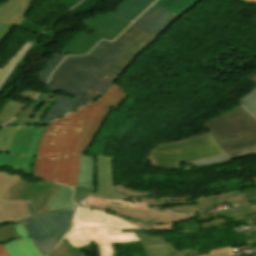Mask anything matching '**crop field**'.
I'll use <instances>...</instances> for the list:
<instances>
[{
	"mask_svg": "<svg viewBox=\"0 0 256 256\" xmlns=\"http://www.w3.org/2000/svg\"><path fill=\"white\" fill-rule=\"evenodd\" d=\"M127 94L112 85L96 103L48 124L35 159L33 177L76 188L80 152H86L111 111Z\"/></svg>",
	"mask_w": 256,
	"mask_h": 256,
	"instance_id": "crop-field-1",
	"label": "crop field"
},
{
	"mask_svg": "<svg viewBox=\"0 0 256 256\" xmlns=\"http://www.w3.org/2000/svg\"><path fill=\"white\" fill-rule=\"evenodd\" d=\"M123 48L122 45L103 40L85 56L66 57L46 86L65 96L58 97L41 124L49 123L99 98L118 78L103 69Z\"/></svg>",
	"mask_w": 256,
	"mask_h": 256,
	"instance_id": "crop-field-2",
	"label": "crop field"
},
{
	"mask_svg": "<svg viewBox=\"0 0 256 256\" xmlns=\"http://www.w3.org/2000/svg\"><path fill=\"white\" fill-rule=\"evenodd\" d=\"M210 132L178 141H186L200 136L213 134L230 158L256 155V119L243 108L205 121Z\"/></svg>",
	"mask_w": 256,
	"mask_h": 256,
	"instance_id": "crop-field-3",
	"label": "crop field"
},
{
	"mask_svg": "<svg viewBox=\"0 0 256 256\" xmlns=\"http://www.w3.org/2000/svg\"><path fill=\"white\" fill-rule=\"evenodd\" d=\"M32 217L21 220L34 246L46 256L66 233L72 217L71 209L49 211L36 215L33 202L27 200Z\"/></svg>",
	"mask_w": 256,
	"mask_h": 256,
	"instance_id": "crop-field-4",
	"label": "crop field"
},
{
	"mask_svg": "<svg viewBox=\"0 0 256 256\" xmlns=\"http://www.w3.org/2000/svg\"><path fill=\"white\" fill-rule=\"evenodd\" d=\"M211 135L172 145L156 146L148 160L153 166L178 169L180 162L192 161L222 153Z\"/></svg>",
	"mask_w": 256,
	"mask_h": 256,
	"instance_id": "crop-field-5",
	"label": "crop field"
},
{
	"mask_svg": "<svg viewBox=\"0 0 256 256\" xmlns=\"http://www.w3.org/2000/svg\"><path fill=\"white\" fill-rule=\"evenodd\" d=\"M83 23L93 30V35L80 33L62 53L68 55H85L101 39L113 40L119 35L130 22L113 15L105 13L89 18H85Z\"/></svg>",
	"mask_w": 256,
	"mask_h": 256,
	"instance_id": "crop-field-6",
	"label": "crop field"
},
{
	"mask_svg": "<svg viewBox=\"0 0 256 256\" xmlns=\"http://www.w3.org/2000/svg\"><path fill=\"white\" fill-rule=\"evenodd\" d=\"M45 128L46 125L19 127L12 138L8 154L0 153V167L13 168L32 176L34 159Z\"/></svg>",
	"mask_w": 256,
	"mask_h": 256,
	"instance_id": "crop-field-7",
	"label": "crop field"
},
{
	"mask_svg": "<svg viewBox=\"0 0 256 256\" xmlns=\"http://www.w3.org/2000/svg\"><path fill=\"white\" fill-rule=\"evenodd\" d=\"M135 231L143 230H111L110 227L88 228L67 233L64 238H66L74 247L89 245V241L91 240L96 244H130L164 238L146 235Z\"/></svg>",
	"mask_w": 256,
	"mask_h": 256,
	"instance_id": "crop-field-8",
	"label": "crop field"
},
{
	"mask_svg": "<svg viewBox=\"0 0 256 256\" xmlns=\"http://www.w3.org/2000/svg\"><path fill=\"white\" fill-rule=\"evenodd\" d=\"M157 36L131 25L114 42L126 46L119 55L105 68L110 72L122 75L139 53Z\"/></svg>",
	"mask_w": 256,
	"mask_h": 256,
	"instance_id": "crop-field-9",
	"label": "crop field"
},
{
	"mask_svg": "<svg viewBox=\"0 0 256 256\" xmlns=\"http://www.w3.org/2000/svg\"><path fill=\"white\" fill-rule=\"evenodd\" d=\"M112 229H142L123 218L107 211L77 206L74 212L72 227L69 232L87 227L109 226Z\"/></svg>",
	"mask_w": 256,
	"mask_h": 256,
	"instance_id": "crop-field-10",
	"label": "crop field"
},
{
	"mask_svg": "<svg viewBox=\"0 0 256 256\" xmlns=\"http://www.w3.org/2000/svg\"><path fill=\"white\" fill-rule=\"evenodd\" d=\"M61 187V185L44 181L39 184H30L21 180L12 186L6 193L4 199H31L35 200V212L37 214L46 212L49 197Z\"/></svg>",
	"mask_w": 256,
	"mask_h": 256,
	"instance_id": "crop-field-11",
	"label": "crop field"
},
{
	"mask_svg": "<svg viewBox=\"0 0 256 256\" xmlns=\"http://www.w3.org/2000/svg\"><path fill=\"white\" fill-rule=\"evenodd\" d=\"M92 196L109 199H127L116 188L112 157L97 155V193Z\"/></svg>",
	"mask_w": 256,
	"mask_h": 256,
	"instance_id": "crop-field-12",
	"label": "crop field"
},
{
	"mask_svg": "<svg viewBox=\"0 0 256 256\" xmlns=\"http://www.w3.org/2000/svg\"><path fill=\"white\" fill-rule=\"evenodd\" d=\"M43 91L36 97L35 102H32L28 108L7 125H40L43 116L59 96Z\"/></svg>",
	"mask_w": 256,
	"mask_h": 256,
	"instance_id": "crop-field-13",
	"label": "crop field"
},
{
	"mask_svg": "<svg viewBox=\"0 0 256 256\" xmlns=\"http://www.w3.org/2000/svg\"><path fill=\"white\" fill-rule=\"evenodd\" d=\"M178 18L179 17L152 5L133 23L158 36Z\"/></svg>",
	"mask_w": 256,
	"mask_h": 256,
	"instance_id": "crop-field-14",
	"label": "crop field"
},
{
	"mask_svg": "<svg viewBox=\"0 0 256 256\" xmlns=\"http://www.w3.org/2000/svg\"><path fill=\"white\" fill-rule=\"evenodd\" d=\"M4 195L0 193V224L18 222L31 216L26 200H3Z\"/></svg>",
	"mask_w": 256,
	"mask_h": 256,
	"instance_id": "crop-field-15",
	"label": "crop field"
},
{
	"mask_svg": "<svg viewBox=\"0 0 256 256\" xmlns=\"http://www.w3.org/2000/svg\"><path fill=\"white\" fill-rule=\"evenodd\" d=\"M141 245L146 256H197L209 253L207 251L200 254L197 248L176 251L172 243L165 244L164 240L144 242Z\"/></svg>",
	"mask_w": 256,
	"mask_h": 256,
	"instance_id": "crop-field-16",
	"label": "crop field"
},
{
	"mask_svg": "<svg viewBox=\"0 0 256 256\" xmlns=\"http://www.w3.org/2000/svg\"><path fill=\"white\" fill-rule=\"evenodd\" d=\"M17 86L12 85V87L5 93L4 96L0 97V100L3 98H7L10 94L15 90ZM37 92L34 91H23L19 95L20 98L27 99L32 101V99L37 95ZM28 103H23L15 100H9L4 104V106L0 109V126L5 124L7 121L11 120L15 117L22 109L28 106Z\"/></svg>",
	"mask_w": 256,
	"mask_h": 256,
	"instance_id": "crop-field-17",
	"label": "crop field"
},
{
	"mask_svg": "<svg viewBox=\"0 0 256 256\" xmlns=\"http://www.w3.org/2000/svg\"><path fill=\"white\" fill-rule=\"evenodd\" d=\"M31 1L32 0L3 1L0 4V21L13 26L19 24Z\"/></svg>",
	"mask_w": 256,
	"mask_h": 256,
	"instance_id": "crop-field-18",
	"label": "crop field"
},
{
	"mask_svg": "<svg viewBox=\"0 0 256 256\" xmlns=\"http://www.w3.org/2000/svg\"><path fill=\"white\" fill-rule=\"evenodd\" d=\"M14 229L18 235L22 238L20 240H14L7 243L4 246L9 256H41L31 243V239L27 235L21 224L14 225Z\"/></svg>",
	"mask_w": 256,
	"mask_h": 256,
	"instance_id": "crop-field-19",
	"label": "crop field"
},
{
	"mask_svg": "<svg viewBox=\"0 0 256 256\" xmlns=\"http://www.w3.org/2000/svg\"><path fill=\"white\" fill-rule=\"evenodd\" d=\"M154 1L156 0H124L113 14L132 22Z\"/></svg>",
	"mask_w": 256,
	"mask_h": 256,
	"instance_id": "crop-field-20",
	"label": "crop field"
},
{
	"mask_svg": "<svg viewBox=\"0 0 256 256\" xmlns=\"http://www.w3.org/2000/svg\"><path fill=\"white\" fill-rule=\"evenodd\" d=\"M77 188L94 190V156L81 153Z\"/></svg>",
	"mask_w": 256,
	"mask_h": 256,
	"instance_id": "crop-field-21",
	"label": "crop field"
},
{
	"mask_svg": "<svg viewBox=\"0 0 256 256\" xmlns=\"http://www.w3.org/2000/svg\"><path fill=\"white\" fill-rule=\"evenodd\" d=\"M103 209L112 211L118 215L129 217V218L151 219L148 216V211H144V210H131V209L119 208L115 206H109L106 204L104 205ZM192 217H194L193 214L184 215V216L175 217V218L152 219V220H158V221H161V223H171V222H180L183 220L190 219Z\"/></svg>",
	"mask_w": 256,
	"mask_h": 256,
	"instance_id": "crop-field-22",
	"label": "crop field"
},
{
	"mask_svg": "<svg viewBox=\"0 0 256 256\" xmlns=\"http://www.w3.org/2000/svg\"><path fill=\"white\" fill-rule=\"evenodd\" d=\"M224 203H232V205L237 204L238 207L234 206L232 208H245V207L251 206L246 195L243 194V195L230 197V198L209 200V201L197 203V205H196L197 209H195L194 211L215 209V208H217V206H220L221 204H224Z\"/></svg>",
	"mask_w": 256,
	"mask_h": 256,
	"instance_id": "crop-field-23",
	"label": "crop field"
},
{
	"mask_svg": "<svg viewBox=\"0 0 256 256\" xmlns=\"http://www.w3.org/2000/svg\"><path fill=\"white\" fill-rule=\"evenodd\" d=\"M199 0H158L154 5L168 10L169 12L181 16L191 10Z\"/></svg>",
	"mask_w": 256,
	"mask_h": 256,
	"instance_id": "crop-field-24",
	"label": "crop field"
},
{
	"mask_svg": "<svg viewBox=\"0 0 256 256\" xmlns=\"http://www.w3.org/2000/svg\"><path fill=\"white\" fill-rule=\"evenodd\" d=\"M254 211L256 213V209H254ZM195 218L197 219L198 223H200L201 229L204 230V229H209L227 222L253 219V218H256V214L246 215V216H242V217H238L230 220H228L221 213L204 215V216L195 217Z\"/></svg>",
	"mask_w": 256,
	"mask_h": 256,
	"instance_id": "crop-field-25",
	"label": "crop field"
},
{
	"mask_svg": "<svg viewBox=\"0 0 256 256\" xmlns=\"http://www.w3.org/2000/svg\"><path fill=\"white\" fill-rule=\"evenodd\" d=\"M72 193L73 190L71 188L62 186L51 196L48 202V211L75 207V205L71 202Z\"/></svg>",
	"mask_w": 256,
	"mask_h": 256,
	"instance_id": "crop-field-26",
	"label": "crop field"
},
{
	"mask_svg": "<svg viewBox=\"0 0 256 256\" xmlns=\"http://www.w3.org/2000/svg\"><path fill=\"white\" fill-rule=\"evenodd\" d=\"M65 56H67V55H64L62 53L53 54V56H52L50 62L48 63L47 67L41 72L37 82L45 85L49 76L53 72V70L56 68V66L61 62V60Z\"/></svg>",
	"mask_w": 256,
	"mask_h": 256,
	"instance_id": "crop-field-27",
	"label": "crop field"
},
{
	"mask_svg": "<svg viewBox=\"0 0 256 256\" xmlns=\"http://www.w3.org/2000/svg\"><path fill=\"white\" fill-rule=\"evenodd\" d=\"M16 129L17 126H5L0 129V152L7 154L11 138Z\"/></svg>",
	"mask_w": 256,
	"mask_h": 256,
	"instance_id": "crop-field-28",
	"label": "crop field"
},
{
	"mask_svg": "<svg viewBox=\"0 0 256 256\" xmlns=\"http://www.w3.org/2000/svg\"><path fill=\"white\" fill-rule=\"evenodd\" d=\"M226 162H231V160L225 153H223V154L215 155L212 157H208V158H204V159H200V160H196L188 163L195 164L198 166V168H200V167L213 166V165L226 163Z\"/></svg>",
	"mask_w": 256,
	"mask_h": 256,
	"instance_id": "crop-field-29",
	"label": "crop field"
},
{
	"mask_svg": "<svg viewBox=\"0 0 256 256\" xmlns=\"http://www.w3.org/2000/svg\"><path fill=\"white\" fill-rule=\"evenodd\" d=\"M159 201H156V199L152 198H141V199H136L139 202H143L148 205H154L156 207L159 204H166V203H194V199L191 198H159ZM164 208V207H160Z\"/></svg>",
	"mask_w": 256,
	"mask_h": 256,
	"instance_id": "crop-field-30",
	"label": "crop field"
},
{
	"mask_svg": "<svg viewBox=\"0 0 256 256\" xmlns=\"http://www.w3.org/2000/svg\"><path fill=\"white\" fill-rule=\"evenodd\" d=\"M48 256H83L71 246L66 239H63L59 246Z\"/></svg>",
	"mask_w": 256,
	"mask_h": 256,
	"instance_id": "crop-field-31",
	"label": "crop field"
},
{
	"mask_svg": "<svg viewBox=\"0 0 256 256\" xmlns=\"http://www.w3.org/2000/svg\"><path fill=\"white\" fill-rule=\"evenodd\" d=\"M29 44L30 43L28 41H25L18 51L12 56V58L2 68H0V82L7 75Z\"/></svg>",
	"mask_w": 256,
	"mask_h": 256,
	"instance_id": "crop-field-32",
	"label": "crop field"
},
{
	"mask_svg": "<svg viewBox=\"0 0 256 256\" xmlns=\"http://www.w3.org/2000/svg\"><path fill=\"white\" fill-rule=\"evenodd\" d=\"M253 116L256 114V88L238 100Z\"/></svg>",
	"mask_w": 256,
	"mask_h": 256,
	"instance_id": "crop-field-33",
	"label": "crop field"
},
{
	"mask_svg": "<svg viewBox=\"0 0 256 256\" xmlns=\"http://www.w3.org/2000/svg\"><path fill=\"white\" fill-rule=\"evenodd\" d=\"M20 180L21 178L16 175L0 173V192L6 193L13 184Z\"/></svg>",
	"mask_w": 256,
	"mask_h": 256,
	"instance_id": "crop-field-34",
	"label": "crop field"
},
{
	"mask_svg": "<svg viewBox=\"0 0 256 256\" xmlns=\"http://www.w3.org/2000/svg\"><path fill=\"white\" fill-rule=\"evenodd\" d=\"M106 204L115 205L119 207H125V208H131V209H144L147 210V206L136 202V201H129V200H123V201H109L106 200Z\"/></svg>",
	"mask_w": 256,
	"mask_h": 256,
	"instance_id": "crop-field-35",
	"label": "crop field"
},
{
	"mask_svg": "<svg viewBox=\"0 0 256 256\" xmlns=\"http://www.w3.org/2000/svg\"><path fill=\"white\" fill-rule=\"evenodd\" d=\"M20 239L14 231L13 226H5L0 228V243L9 239Z\"/></svg>",
	"mask_w": 256,
	"mask_h": 256,
	"instance_id": "crop-field-36",
	"label": "crop field"
},
{
	"mask_svg": "<svg viewBox=\"0 0 256 256\" xmlns=\"http://www.w3.org/2000/svg\"><path fill=\"white\" fill-rule=\"evenodd\" d=\"M99 256H120L117 247L113 245H98Z\"/></svg>",
	"mask_w": 256,
	"mask_h": 256,
	"instance_id": "crop-field-37",
	"label": "crop field"
},
{
	"mask_svg": "<svg viewBox=\"0 0 256 256\" xmlns=\"http://www.w3.org/2000/svg\"><path fill=\"white\" fill-rule=\"evenodd\" d=\"M149 216L152 218H165V217H174L179 215L172 212L165 211V210L149 207Z\"/></svg>",
	"mask_w": 256,
	"mask_h": 256,
	"instance_id": "crop-field-38",
	"label": "crop field"
},
{
	"mask_svg": "<svg viewBox=\"0 0 256 256\" xmlns=\"http://www.w3.org/2000/svg\"><path fill=\"white\" fill-rule=\"evenodd\" d=\"M118 188H119V190H120L123 194H125V195H127V196H129V197H131V198H135V197H147V196H149V194H150V192H136V191H134V190H129V189H127V188H125L124 186H121V185H118Z\"/></svg>",
	"mask_w": 256,
	"mask_h": 256,
	"instance_id": "crop-field-39",
	"label": "crop field"
},
{
	"mask_svg": "<svg viewBox=\"0 0 256 256\" xmlns=\"http://www.w3.org/2000/svg\"><path fill=\"white\" fill-rule=\"evenodd\" d=\"M211 253L203 256H234L230 247L210 250Z\"/></svg>",
	"mask_w": 256,
	"mask_h": 256,
	"instance_id": "crop-field-40",
	"label": "crop field"
},
{
	"mask_svg": "<svg viewBox=\"0 0 256 256\" xmlns=\"http://www.w3.org/2000/svg\"><path fill=\"white\" fill-rule=\"evenodd\" d=\"M231 193L233 196L246 193L250 201L256 200V185H255V187L237 190V191H233Z\"/></svg>",
	"mask_w": 256,
	"mask_h": 256,
	"instance_id": "crop-field-41",
	"label": "crop field"
},
{
	"mask_svg": "<svg viewBox=\"0 0 256 256\" xmlns=\"http://www.w3.org/2000/svg\"><path fill=\"white\" fill-rule=\"evenodd\" d=\"M75 193L73 196V201L77 204L79 201L83 200L86 197L90 196V191L74 189Z\"/></svg>",
	"mask_w": 256,
	"mask_h": 256,
	"instance_id": "crop-field-42",
	"label": "crop field"
},
{
	"mask_svg": "<svg viewBox=\"0 0 256 256\" xmlns=\"http://www.w3.org/2000/svg\"><path fill=\"white\" fill-rule=\"evenodd\" d=\"M104 201L105 200H101V199H98V198H89V199H86L84 201V203L87 206H90V207H93V208H100V209H102V207L104 205ZM89 202H91V204H89Z\"/></svg>",
	"mask_w": 256,
	"mask_h": 256,
	"instance_id": "crop-field-43",
	"label": "crop field"
},
{
	"mask_svg": "<svg viewBox=\"0 0 256 256\" xmlns=\"http://www.w3.org/2000/svg\"><path fill=\"white\" fill-rule=\"evenodd\" d=\"M195 205L194 206H176V207H172V208H164L167 210H171L177 213H182V214H186L189 212H192L193 209H195Z\"/></svg>",
	"mask_w": 256,
	"mask_h": 256,
	"instance_id": "crop-field-44",
	"label": "crop field"
},
{
	"mask_svg": "<svg viewBox=\"0 0 256 256\" xmlns=\"http://www.w3.org/2000/svg\"><path fill=\"white\" fill-rule=\"evenodd\" d=\"M12 26L2 24L0 22V43L9 35Z\"/></svg>",
	"mask_w": 256,
	"mask_h": 256,
	"instance_id": "crop-field-45",
	"label": "crop field"
},
{
	"mask_svg": "<svg viewBox=\"0 0 256 256\" xmlns=\"http://www.w3.org/2000/svg\"><path fill=\"white\" fill-rule=\"evenodd\" d=\"M229 196H231L230 192L222 193V194H216V195H212V196H208V197H204V198L195 199V202L204 201V200H208V199H216V198H222V197H229Z\"/></svg>",
	"mask_w": 256,
	"mask_h": 256,
	"instance_id": "crop-field-46",
	"label": "crop field"
},
{
	"mask_svg": "<svg viewBox=\"0 0 256 256\" xmlns=\"http://www.w3.org/2000/svg\"><path fill=\"white\" fill-rule=\"evenodd\" d=\"M238 1H241L249 5L256 4V0H238Z\"/></svg>",
	"mask_w": 256,
	"mask_h": 256,
	"instance_id": "crop-field-47",
	"label": "crop field"
},
{
	"mask_svg": "<svg viewBox=\"0 0 256 256\" xmlns=\"http://www.w3.org/2000/svg\"><path fill=\"white\" fill-rule=\"evenodd\" d=\"M0 256H8L5 251H4V248L2 245H0Z\"/></svg>",
	"mask_w": 256,
	"mask_h": 256,
	"instance_id": "crop-field-48",
	"label": "crop field"
},
{
	"mask_svg": "<svg viewBox=\"0 0 256 256\" xmlns=\"http://www.w3.org/2000/svg\"><path fill=\"white\" fill-rule=\"evenodd\" d=\"M250 80H252V81H254L255 83H256V76L255 77H253L252 79H250Z\"/></svg>",
	"mask_w": 256,
	"mask_h": 256,
	"instance_id": "crop-field-49",
	"label": "crop field"
},
{
	"mask_svg": "<svg viewBox=\"0 0 256 256\" xmlns=\"http://www.w3.org/2000/svg\"><path fill=\"white\" fill-rule=\"evenodd\" d=\"M78 251H80L81 252V250H78ZM83 253V252H82ZM84 254V256H86V254L85 253H83Z\"/></svg>",
	"mask_w": 256,
	"mask_h": 256,
	"instance_id": "crop-field-50",
	"label": "crop field"
},
{
	"mask_svg": "<svg viewBox=\"0 0 256 256\" xmlns=\"http://www.w3.org/2000/svg\"><path fill=\"white\" fill-rule=\"evenodd\" d=\"M255 184H256V177H255Z\"/></svg>",
	"mask_w": 256,
	"mask_h": 256,
	"instance_id": "crop-field-51",
	"label": "crop field"
},
{
	"mask_svg": "<svg viewBox=\"0 0 256 256\" xmlns=\"http://www.w3.org/2000/svg\"><path fill=\"white\" fill-rule=\"evenodd\" d=\"M254 117H256V116H254Z\"/></svg>",
	"mask_w": 256,
	"mask_h": 256,
	"instance_id": "crop-field-52",
	"label": "crop field"
}]
</instances>
